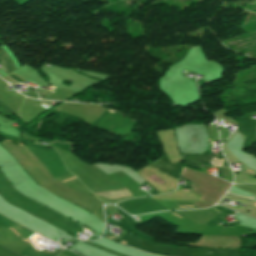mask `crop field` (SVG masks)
<instances>
[{
	"label": "crop field",
	"mask_w": 256,
	"mask_h": 256,
	"mask_svg": "<svg viewBox=\"0 0 256 256\" xmlns=\"http://www.w3.org/2000/svg\"><path fill=\"white\" fill-rule=\"evenodd\" d=\"M193 203V202H192Z\"/></svg>",
	"instance_id": "crop-field-10"
},
{
	"label": "crop field",
	"mask_w": 256,
	"mask_h": 256,
	"mask_svg": "<svg viewBox=\"0 0 256 256\" xmlns=\"http://www.w3.org/2000/svg\"><path fill=\"white\" fill-rule=\"evenodd\" d=\"M0 59L4 63L5 71L7 72V74L17 69L15 65L12 63V61L10 60V58L7 56V54L4 52L2 47L0 48Z\"/></svg>",
	"instance_id": "crop-field-1"
},
{
	"label": "crop field",
	"mask_w": 256,
	"mask_h": 256,
	"mask_svg": "<svg viewBox=\"0 0 256 256\" xmlns=\"http://www.w3.org/2000/svg\"><path fill=\"white\" fill-rule=\"evenodd\" d=\"M22 227V226H21ZM10 229H12L11 227H9ZM24 228V227H23ZM26 229V228H25ZM13 230V229H12ZM28 230V229H27ZM14 231V230H13ZM30 231V230H29ZM15 232V231H14ZM32 232V231H31ZM34 233V232H33ZM15 234L17 235V236H19L16 232H15Z\"/></svg>",
	"instance_id": "crop-field-4"
},
{
	"label": "crop field",
	"mask_w": 256,
	"mask_h": 256,
	"mask_svg": "<svg viewBox=\"0 0 256 256\" xmlns=\"http://www.w3.org/2000/svg\"><path fill=\"white\" fill-rule=\"evenodd\" d=\"M249 170V169H248ZM251 171V170H250ZM253 172V171H252Z\"/></svg>",
	"instance_id": "crop-field-7"
},
{
	"label": "crop field",
	"mask_w": 256,
	"mask_h": 256,
	"mask_svg": "<svg viewBox=\"0 0 256 256\" xmlns=\"http://www.w3.org/2000/svg\"><path fill=\"white\" fill-rule=\"evenodd\" d=\"M73 177H74V176H73ZM70 178H72V177H70ZM70 178H67V179H70ZM67 179L61 180V182L65 181V180H67Z\"/></svg>",
	"instance_id": "crop-field-5"
},
{
	"label": "crop field",
	"mask_w": 256,
	"mask_h": 256,
	"mask_svg": "<svg viewBox=\"0 0 256 256\" xmlns=\"http://www.w3.org/2000/svg\"><path fill=\"white\" fill-rule=\"evenodd\" d=\"M111 199V198H110Z\"/></svg>",
	"instance_id": "crop-field-11"
},
{
	"label": "crop field",
	"mask_w": 256,
	"mask_h": 256,
	"mask_svg": "<svg viewBox=\"0 0 256 256\" xmlns=\"http://www.w3.org/2000/svg\"><path fill=\"white\" fill-rule=\"evenodd\" d=\"M129 198H133V196H130V197H124V198H118V199H112V200H113V201H116V202H120V201H123V200L129 199Z\"/></svg>",
	"instance_id": "crop-field-3"
},
{
	"label": "crop field",
	"mask_w": 256,
	"mask_h": 256,
	"mask_svg": "<svg viewBox=\"0 0 256 256\" xmlns=\"http://www.w3.org/2000/svg\"><path fill=\"white\" fill-rule=\"evenodd\" d=\"M94 194L105 197V198H110V197L128 195V194H131V193L127 189H121V190L97 192V193H94Z\"/></svg>",
	"instance_id": "crop-field-2"
},
{
	"label": "crop field",
	"mask_w": 256,
	"mask_h": 256,
	"mask_svg": "<svg viewBox=\"0 0 256 256\" xmlns=\"http://www.w3.org/2000/svg\"><path fill=\"white\" fill-rule=\"evenodd\" d=\"M174 214V213H173ZM176 215V214H175ZM176 216H178V215H176ZM179 217V216H178ZM179 218H181V217H179ZM181 219H183V218H181Z\"/></svg>",
	"instance_id": "crop-field-6"
},
{
	"label": "crop field",
	"mask_w": 256,
	"mask_h": 256,
	"mask_svg": "<svg viewBox=\"0 0 256 256\" xmlns=\"http://www.w3.org/2000/svg\"><path fill=\"white\" fill-rule=\"evenodd\" d=\"M186 208H188V207H186Z\"/></svg>",
	"instance_id": "crop-field-9"
},
{
	"label": "crop field",
	"mask_w": 256,
	"mask_h": 256,
	"mask_svg": "<svg viewBox=\"0 0 256 256\" xmlns=\"http://www.w3.org/2000/svg\"><path fill=\"white\" fill-rule=\"evenodd\" d=\"M124 243V242H123ZM124 244H126V243H124Z\"/></svg>",
	"instance_id": "crop-field-8"
}]
</instances>
